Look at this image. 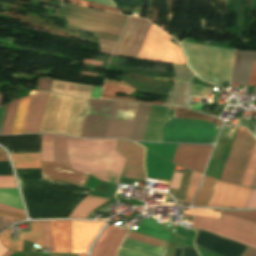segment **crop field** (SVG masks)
Masks as SVG:
<instances>
[{"label": "crop field", "instance_id": "8a807250", "mask_svg": "<svg viewBox=\"0 0 256 256\" xmlns=\"http://www.w3.org/2000/svg\"><path fill=\"white\" fill-rule=\"evenodd\" d=\"M117 139H80L68 137L72 169L96 178L118 183L126 158L115 151Z\"/></svg>", "mask_w": 256, "mask_h": 256}, {"label": "crop field", "instance_id": "ac0d7876", "mask_svg": "<svg viewBox=\"0 0 256 256\" xmlns=\"http://www.w3.org/2000/svg\"><path fill=\"white\" fill-rule=\"evenodd\" d=\"M137 105L117 100L91 99L80 137L128 140Z\"/></svg>", "mask_w": 256, "mask_h": 256}, {"label": "crop field", "instance_id": "34b2d1b8", "mask_svg": "<svg viewBox=\"0 0 256 256\" xmlns=\"http://www.w3.org/2000/svg\"><path fill=\"white\" fill-rule=\"evenodd\" d=\"M169 108L176 109V111L168 109L159 142L214 143L221 127L217 124H222L220 120L186 109ZM173 114L176 118L210 119L217 124L210 120L172 119Z\"/></svg>", "mask_w": 256, "mask_h": 256}, {"label": "crop field", "instance_id": "412701ff", "mask_svg": "<svg viewBox=\"0 0 256 256\" xmlns=\"http://www.w3.org/2000/svg\"><path fill=\"white\" fill-rule=\"evenodd\" d=\"M89 100L50 93L39 133L79 137Z\"/></svg>", "mask_w": 256, "mask_h": 256}, {"label": "crop field", "instance_id": "f4fd0767", "mask_svg": "<svg viewBox=\"0 0 256 256\" xmlns=\"http://www.w3.org/2000/svg\"><path fill=\"white\" fill-rule=\"evenodd\" d=\"M192 227L216 233L256 249V224L221 215L220 220L194 216Z\"/></svg>", "mask_w": 256, "mask_h": 256}, {"label": "crop field", "instance_id": "dd49c442", "mask_svg": "<svg viewBox=\"0 0 256 256\" xmlns=\"http://www.w3.org/2000/svg\"><path fill=\"white\" fill-rule=\"evenodd\" d=\"M255 140L244 128H239L220 180L241 184Z\"/></svg>", "mask_w": 256, "mask_h": 256}, {"label": "crop field", "instance_id": "e52e79f7", "mask_svg": "<svg viewBox=\"0 0 256 256\" xmlns=\"http://www.w3.org/2000/svg\"><path fill=\"white\" fill-rule=\"evenodd\" d=\"M170 38L154 25H151L136 58L184 64V56L180 48L169 42Z\"/></svg>", "mask_w": 256, "mask_h": 256}, {"label": "crop field", "instance_id": "d8731c3e", "mask_svg": "<svg viewBox=\"0 0 256 256\" xmlns=\"http://www.w3.org/2000/svg\"><path fill=\"white\" fill-rule=\"evenodd\" d=\"M128 231L107 225L103 233L97 239L91 256H115ZM127 238L155 245L167 249L168 242L157 240L141 234L129 231Z\"/></svg>", "mask_w": 256, "mask_h": 256}, {"label": "crop field", "instance_id": "5a996713", "mask_svg": "<svg viewBox=\"0 0 256 256\" xmlns=\"http://www.w3.org/2000/svg\"><path fill=\"white\" fill-rule=\"evenodd\" d=\"M250 190L218 180L208 206L244 208Z\"/></svg>", "mask_w": 256, "mask_h": 256}, {"label": "crop field", "instance_id": "3316defc", "mask_svg": "<svg viewBox=\"0 0 256 256\" xmlns=\"http://www.w3.org/2000/svg\"><path fill=\"white\" fill-rule=\"evenodd\" d=\"M116 150L127 158L121 176L145 181L143 167L145 148L133 142L118 139Z\"/></svg>", "mask_w": 256, "mask_h": 256}, {"label": "crop field", "instance_id": "28ad6ade", "mask_svg": "<svg viewBox=\"0 0 256 256\" xmlns=\"http://www.w3.org/2000/svg\"><path fill=\"white\" fill-rule=\"evenodd\" d=\"M212 147L179 144L172 162L203 174Z\"/></svg>", "mask_w": 256, "mask_h": 256}, {"label": "crop field", "instance_id": "d1516ede", "mask_svg": "<svg viewBox=\"0 0 256 256\" xmlns=\"http://www.w3.org/2000/svg\"><path fill=\"white\" fill-rule=\"evenodd\" d=\"M104 222L72 221V253L88 251L92 241L102 228Z\"/></svg>", "mask_w": 256, "mask_h": 256}, {"label": "crop field", "instance_id": "22f410ed", "mask_svg": "<svg viewBox=\"0 0 256 256\" xmlns=\"http://www.w3.org/2000/svg\"><path fill=\"white\" fill-rule=\"evenodd\" d=\"M23 224H28V229H21L22 234H18V239L10 238L11 228L0 234L2 243L15 252L22 251L23 239L44 247L41 221L23 222Z\"/></svg>", "mask_w": 256, "mask_h": 256}, {"label": "crop field", "instance_id": "cbeb9de0", "mask_svg": "<svg viewBox=\"0 0 256 256\" xmlns=\"http://www.w3.org/2000/svg\"><path fill=\"white\" fill-rule=\"evenodd\" d=\"M61 8L64 14H67V15L89 19L93 21H98V22H103L107 24L117 25L121 27L124 26L128 18L124 16L91 10L84 7L64 3V2H62Z\"/></svg>", "mask_w": 256, "mask_h": 256}, {"label": "crop field", "instance_id": "5142ce71", "mask_svg": "<svg viewBox=\"0 0 256 256\" xmlns=\"http://www.w3.org/2000/svg\"><path fill=\"white\" fill-rule=\"evenodd\" d=\"M43 178L85 186L88 175L71 171L70 165L41 162Z\"/></svg>", "mask_w": 256, "mask_h": 256}, {"label": "crop field", "instance_id": "d9b57169", "mask_svg": "<svg viewBox=\"0 0 256 256\" xmlns=\"http://www.w3.org/2000/svg\"><path fill=\"white\" fill-rule=\"evenodd\" d=\"M173 65L176 71L177 81L167 105L186 107L190 77L194 74L186 66Z\"/></svg>", "mask_w": 256, "mask_h": 256}, {"label": "crop field", "instance_id": "733c2abd", "mask_svg": "<svg viewBox=\"0 0 256 256\" xmlns=\"http://www.w3.org/2000/svg\"><path fill=\"white\" fill-rule=\"evenodd\" d=\"M48 94L46 92L33 94L23 133L39 132Z\"/></svg>", "mask_w": 256, "mask_h": 256}, {"label": "crop field", "instance_id": "4a817a6b", "mask_svg": "<svg viewBox=\"0 0 256 256\" xmlns=\"http://www.w3.org/2000/svg\"><path fill=\"white\" fill-rule=\"evenodd\" d=\"M55 252H71V221H49Z\"/></svg>", "mask_w": 256, "mask_h": 256}, {"label": "crop field", "instance_id": "bc2a9ffb", "mask_svg": "<svg viewBox=\"0 0 256 256\" xmlns=\"http://www.w3.org/2000/svg\"><path fill=\"white\" fill-rule=\"evenodd\" d=\"M0 187H17L14 177L0 176ZM0 203L23 209L17 188H0Z\"/></svg>", "mask_w": 256, "mask_h": 256}, {"label": "crop field", "instance_id": "214f88e0", "mask_svg": "<svg viewBox=\"0 0 256 256\" xmlns=\"http://www.w3.org/2000/svg\"><path fill=\"white\" fill-rule=\"evenodd\" d=\"M65 16L67 18L69 25L84 28V29L94 30V31L108 33V34L117 35V36L120 35L123 29L117 26L79 19V18L67 16V15Z\"/></svg>", "mask_w": 256, "mask_h": 256}, {"label": "crop field", "instance_id": "92a150f3", "mask_svg": "<svg viewBox=\"0 0 256 256\" xmlns=\"http://www.w3.org/2000/svg\"><path fill=\"white\" fill-rule=\"evenodd\" d=\"M91 86L76 85L53 80L50 92L73 96L90 97Z\"/></svg>", "mask_w": 256, "mask_h": 256}, {"label": "crop field", "instance_id": "dafd665d", "mask_svg": "<svg viewBox=\"0 0 256 256\" xmlns=\"http://www.w3.org/2000/svg\"><path fill=\"white\" fill-rule=\"evenodd\" d=\"M109 199L88 195L79 203L70 214L69 218H86L87 215Z\"/></svg>", "mask_w": 256, "mask_h": 256}, {"label": "crop field", "instance_id": "00972430", "mask_svg": "<svg viewBox=\"0 0 256 256\" xmlns=\"http://www.w3.org/2000/svg\"><path fill=\"white\" fill-rule=\"evenodd\" d=\"M216 179L204 176L201 189L195 196L193 206H207L216 185Z\"/></svg>", "mask_w": 256, "mask_h": 256}, {"label": "crop field", "instance_id": "a9b5d70f", "mask_svg": "<svg viewBox=\"0 0 256 256\" xmlns=\"http://www.w3.org/2000/svg\"><path fill=\"white\" fill-rule=\"evenodd\" d=\"M15 168H41L40 154L24 153L10 154Z\"/></svg>", "mask_w": 256, "mask_h": 256}, {"label": "crop field", "instance_id": "4177f3b9", "mask_svg": "<svg viewBox=\"0 0 256 256\" xmlns=\"http://www.w3.org/2000/svg\"><path fill=\"white\" fill-rule=\"evenodd\" d=\"M115 92L133 95V93L135 92V89L105 84V88H104L101 98L137 101L132 98L114 96ZM137 102H141V101H137ZM142 103L165 105L166 102L154 101V102H142Z\"/></svg>", "mask_w": 256, "mask_h": 256}, {"label": "crop field", "instance_id": "730fd06b", "mask_svg": "<svg viewBox=\"0 0 256 256\" xmlns=\"http://www.w3.org/2000/svg\"><path fill=\"white\" fill-rule=\"evenodd\" d=\"M31 96L23 98L19 101V105H18V109H17V113H16V117H15V121H14V125H13L11 134L22 133L26 115H27V111H28V107H29V103L31 100Z\"/></svg>", "mask_w": 256, "mask_h": 256}, {"label": "crop field", "instance_id": "eef30255", "mask_svg": "<svg viewBox=\"0 0 256 256\" xmlns=\"http://www.w3.org/2000/svg\"><path fill=\"white\" fill-rule=\"evenodd\" d=\"M66 141L67 137L54 135V162L70 164Z\"/></svg>", "mask_w": 256, "mask_h": 256}, {"label": "crop field", "instance_id": "ae1a2a85", "mask_svg": "<svg viewBox=\"0 0 256 256\" xmlns=\"http://www.w3.org/2000/svg\"><path fill=\"white\" fill-rule=\"evenodd\" d=\"M41 161L53 162V135H42Z\"/></svg>", "mask_w": 256, "mask_h": 256}, {"label": "crop field", "instance_id": "d3111659", "mask_svg": "<svg viewBox=\"0 0 256 256\" xmlns=\"http://www.w3.org/2000/svg\"><path fill=\"white\" fill-rule=\"evenodd\" d=\"M18 101L12 102L9 105V109L7 112L3 130H2V135H7V134H10V132H11L14 116L16 113L17 105H18Z\"/></svg>", "mask_w": 256, "mask_h": 256}, {"label": "crop field", "instance_id": "750c4746", "mask_svg": "<svg viewBox=\"0 0 256 256\" xmlns=\"http://www.w3.org/2000/svg\"><path fill=\"white\" fill-rule=\"evenodd\" d=\"M255 170H256V145L253 150L250 162L248 164V167L241 185L247 186V187L250 186Z\"/></svg>", "mask_w": 256, "mask_h": 256}, {"label": "crop field", "instance_id": "bd1437ed", "mask_svg": "<svg viewBox=\"0 0 256 256\" xmlns=\"http://www.w3.org/2000/svg\"><path fill=\"white\" fill-rule=\"evenodd\" d=\"M220 212H221V210H215V209H189V211H184V214L219 219Z\"/></svg>", "mask_w": 256, "mask_h": 256}, {"label": "crop field", "instance_id": "1d83c4d3", "mask_svg": "<svg viewBox=\"0 0 256 256\" xmlns=\"http://www.w3.org/2000/svg\"><path fill=\"white\" fill-rule=\"evenodd\" d=\"M221 214L238 216L245 220L256 223V211H225V210H222Z\"/></svg>", "mask_w": 256, "mask_h": 256}, {"label": "crop field", "instance_id": "120bbe31", "mask_svg": "<svg viewBox=\"0 0 256 256\" xmlns=\"http://www.w3.org/2000/svg\"><path fill=\"white\" fill-rule=\"evenodd\" d=\"M201 179H202L201 174H197V173L193 172L189 192H188V195H187V198H186L185 202H188V203L191 202L192 197L194 196L195 192L198 189V186L200 184Z\"/></svg>", "mask_w": 256, "mask_h": 256}, {"label": "crop field", "instance_id": "d32e631a", "mask_svg": "<svg viewBox=\"0 0 256 256\" xmlns=\"http://www.w3.org/2000/svg\"><path fill=\"white\" fill-rule=\"evenodd\" d=\"M66 1L71 2V3H75V4H79V5H83V6H87V7H91V8H95V9L105 10V11L114 12V13L119 14L117 9L102 6V5H98V4H94V3H90V2H86V1H82V0H66Z\"/></svg>", "mask_w": 256, "mask_h": 256}, {"label": "crop field", "instance_id": "5866460e", "mask_svg": "<svg viewBox=\"0 0 256 256\" xmlns=\"http://www.w3.org/2000/svg\"><path fill=\"white\" fill-rule=\"evenodd\" d=\"M42 223H43V236H44L45 246L50 247L51 252H54L48 221H42Z\"/></svg>", "mask_w": 256, "mask_h": 256}, {"label": "crop field", "instance_id": "028f5c9d", "mask_svg": "<svg viewBox=\"0 0 256 256\" xmlns=\"http://www.w3.org/2000/svg\"><path fill=\"white\" fill-rule=\"evenodd\" d=\"M66 27L70 28V29H74V30H78V31L93 34L94 36H96L97 38H100V39H105V40L114 41V42H116L117 39H118L117 36H112V35L98 33V32L89 31V30H82V29H78V28H74V27H70V26H66Z\"/></svg>", "mask_w": 256, "mask_h": 256}, {"label": "crop field", "instance_id": "e1f06a70", "mask_svg": "<svg viewBox=\"0 0 256 256\" xmlns=\"http://www.w3.org/2000/svg\"><path fill=\"white\" fill-rule=\"evenodd\" d=\"M52 80L39 79L36 92L38 90L48 91L50 90Z\"/></svg>", "mask_w": 256, "mask_h": 256}, {"label": "crop field", "instance_id": "0bd39190", "mask_svg": "<svg viewBox=\"0 0 256 256\" xmlns=\"http://www.w3.org/2000/svg\"><path fill=\"white\" fill-rule=\"evenodd\" d=\"M256 207V190L252 189L245 208Z\"/></svg>", "mask_w": 256, "mask_h": 256}, {"label": "crop field", "instance_id": "b80d0937", "mask_svg": "<svg viewBox=\"0 0 256 256\" xmlns=\"http://www.w3.org/2000/svg\"><path fill=\"white\" fill-rule=\"evenodd\" d=\"M181 176H182L181 173H178V172L174 173L170 187L178 189Z\"/></svg>", "mask_w": 256, "mask_h": 256}, {"label": "crop field", "instance_id": "c035e120", "mask_svg": "<svg viewBox=\"0 0 256 256\" xmlns=\"http://www.w3.org/2000/svg\"><path fill=\"white\" fill-rule=\"evenodd\" d=\"M0 216L14 218V219H19V220L25 219V216H23V215L9 213V212H5V211H1V210H0Z\"/></svg>", "mask_w": 256, "mask_h": 256}, {"label": "crop field", "instance_id": "c21b1889", "mask_svg": "<svg viewBox=\"0 0 256 256\" xmlns=\"http://www.w3.org/2000/svg\"><path fill=\"white\" fill-rule=\"evenodd\" d=\"M248 85H256V62L253 64L250 80Z\"/></svg>", "mask_w": 256, "mask_h": 256}, {"label": "crop field", "instance_id": "03da06ac", "mask_svg": "<svg viewBox=\"0 0 256 256\" xmlns=\"http://www.w3.org/2000/svg\"><path fill=\"white\" fill-rule=\"evenodd\" d=\"M0 209L6 210V211H10V212H14V213H19V214H25L24 211L15 209L13 207H10V206L4 205V204H0Z\"/></svg>", "mask_w": 256, "mask_h": 256}, {"label": "crop field", "instance_id": "b54c1fbb", "mask_svg": "<svg viewBox=\"0 0 256 256\" xmlns=\"http://www.w3.org/2000/svg\"><path fill=\"white\" fill-rule=\"evenodd\" d=\"M98 182H99L98 180H96V179H94L92 177H89L85 187L91 188V189H95L97 184H98Z\"/></svg>", "mask_w": 256, "mask_h": 256}, {"label": "crop field", "instance_id": "5d738f31", "mask_svg": "<svg viewBox=\"0 0 256 256\" xmlns=\"http://www.w3.org/2000/svg\"><path fill=\"white\" fill-rule=\"evenodd\" d=\"M3 219H4V217H0V230H2L3 228H5L6 226H8V225H10V224H12V223L18 221V220L11 219V220H13V222H12V223H9V222L3 221ZM7 219H8V218H7Z\"/></svg>", "mask_w": 256, "mask_h": 256}, {"label": "crop field", "instance_id": "d23c7cc5", "mask_svg": "<svg viewBox=\"0 0 256 256\" xmlns=\"http://www.w3.org/2000/svg\"><path fill=\"white\" fill-rule=\"evenodd\" d=\"M242 256H256V250L247 247L246 251L244 252V254Z\"/></svg>", "mask_w": 256, "mask_h": 256}, {"label": "crop field", "instance_id": "425ffa30", "mask_svg": "<svg viewBox=\"0 0 256 256\" xmlns=\"http://www.w3.org/2000/svg\"><path fill=\"white\" fill-rule=\"evenodd\" d=\"M105 83L130 87L129 85H127V84H126L125 82H123V81L117 82V81H112V80L106 79Z\"/></svg>", "mask_w": 256, "mask_h": 256}, {"label": "crop field", "instance_id": "25e5ab78", "mask_svg": "<svg viewBox=\"0 0 256 256\" xmlns=\"http://www.w3.org/2000/svg\"><path fill=\"white\" fill-rule=\"evenodd\" d=\"M101 89H102V88L94 87L91 97L100 98Z\"/></svg>", "mask_w": 256, "mask_h": 256}, {"label": "crop field", "instance_id": "73cf0c24", "mask_svg": "<svg viewBox=\"0 0 256 256\" xmlns=\"http://www.w3.org/2000/svg\"><path fill=\"white\" fill-rule=\"evenodd\" d=\"M1 160H9L6 152L2 148H0V161Z\"/></svg>", "mask_w": 256, "mask_h": 256}, {"label": "crop field", "instance_id": "89e229c0", "mask_svg": "<svg viewBox=\"0 0 256 256\" xmlns=\"http://www.w3.org/2000/svg\"><path fill=\"white\" fill-rule=\"evenodd\" d=\"M208 104H204V105H190V108L198 110L201 112V110L206 107Z\"/></svg>", "mask_w": 256, "mask_h": 256}, {"label": "crop field", "instance_id": "1f2cbd36", "mask_svg": "<svg viewBox=\"0 0 256 256\" xmlns=\"http://www.w3.org/2000/svg\"><path fill=\"white\" fill-rule=\"evenodd\" d=\"M193 239L194 238H192V237H187V239H186V245H188V246H190V247H192V248H194V246H193ZM195 249V248H194Z\"/></svg>", "mask_w": 256, "mask_h": 256}, {"label": "crop field", "instance_id": "dbb93151", "mask_svg": "<svg viewBox=\"0 0 256 256\" xmlns=\"http://www.w3.org/2000/svg\"><path fill=\"white\" fill-rule=\"evenodd\" d=\"M6 251H7V249L0 242V256H2Z\"/></svg>", "mask_w": 256, "mask_h": 256}, {"label": "crop field", "instance_id": "0fb4a251", "mask_svg": "<svg viewBox=\"0 0 256 256\" xmlns=\"http://www.w3.org/2000/svg\"><path fill=\"white\" fill-rule=\"evenodd\" d=\"M251 188H256V172H255V175H254V178H253V181L251 183Z\"/></svg>", "mask_w": 256, "mask_h": 256}, {"label": "crop field", "instance_id": "1d79db26", "mask_svg": "<svg viewBox=\"0 0 256 256\" xmlns=\"http://www.w3.org/2000/svg\"><path fill=\"white\" fill-rule=\"evenodd\" d=\"M11 253H14V252L8 250L3 256H9Z\"/></svg>", "mask_w": 256, "mask_h": 256}, {"label": "crop field", "instance_id": "9d1cf04e", "mask_svg": "<svg viewBox=\"0 0 256 256\" xmlns=\"http://www.w3.org/2000/svg\"><path fill=\"white\" fill-rule=\"evenodd\" d=\"M78 256H87V254H78Z\"/></svg>", "mask_w": 256, "mask_h": 256}, {"label": "crop field", "instance_id": "447ae74e", "mask_svg": "<svg viewBox=\"0 0 256 256\" xmlns=\"http://www.w3.org/2000/svg\"><path fill=\"white\" fill-rule=\"evenodd\" d=\"M200 254V256H206V255H203V254H201V253H199Z\"/></svg>", "mask_w": 256, "mask_h": 256}, {"label": "crop field", "instance_id": "0765c3eb", "mask_svg": "<svg viewBox=\"0 0 256 256\" xmlns=\"http://www.w3.org/2000/svg\"><path fill=\"white\" fill-rule=\"evenodd\" d=\"M254 137H256V131H255V135H254Z\"/></svg>", "mask_w": 256, "mask_h": 256}]
</instances>
